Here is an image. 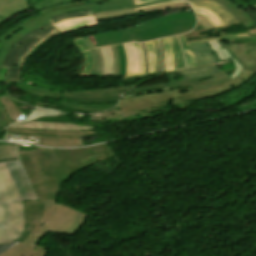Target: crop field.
<instances>
[{
    "label": "crop field",
    "mask_w": 256,
    "mask_h": 256,
    "mask_svg": "<svg viewBox=\"0 0 256 256\" xmlns=\"http://www.w3.org/2000/svg\"><path fill=\"white\" fill-rule=\"evenodd\" d=\"M254 73L242 72L240 76L222 85L198 92H190L188 87L169 91L144 94L120 99L119 108L111 112H101L90 115L93 121H122V119L150 116V112L176 105V109H188L191 101L207 98L236 88L247 81Z\"/></svg>",
    "instance_id": "1"
},
{
    "label": "crop field",
    "mask_w": 256,
    "mask_h": 256,
    "mask_svg": "<svg viewBox=\"0 0 256 256\" xmlns=\"http://www.w3.org/2000/svg\"><path fill=\"white\" fill-rule=\"evenodd\" d=\"M195 24L193 12H177L125 30L90 36V39L95 47L129 41L142 42L185 33L193 29Z\"/></svg>",
    "instance_id": "2"
},
{
    "label": "crop field",
    "mask_w": 256,
    "mask_h": 256,
    "mask_svg": "<svg viewBox=\"0 0 256 256\" xmlns=\"http://www.w3.org/2000/svg\"><path fill=\"white\" fill-rule=\"evenodd\" d=\"M23 200L5 166L0 164V244L15 241L23 232Z\"/></svg>",
    "instance_id": "3"
},
{
    "label": "crop field",
    "mask_w": 256,
    "mask_h": 256,
    "mask_svg": "<svg viewBox=\"0 0 256 256\" xmlns=\"http://www.w3.org/2000/svg\"><path fill=\"white\" fill-rule=\"evenodd\" d=\"M92 15L90 10L61 14L48 20L51 22L41 26L20 39L6 57L2 66L10 67L7 81H19L21 67L26 56L44 40L61 33L53 24L67 19Z\"/></svg>",
    "instance_id": "4"
},
{
    "label": "crop field",
    "mask_w": 256,
    "mask_h": 256,
    "mask_svg": "<svg viewBox=\"0 0 256 256\" xmlns=\"http://www.w3.org/2000/svg\"><path fill=\"white\" fill-rule=\"evenodd\" d=\"M55 150L68 176L99 160L105 161L115 157H113V153L111 154L106 144L86 148Z\"/></svg>",
    "instance_id": "5"
},
{
    "label": "crop field",
    "mask_w": 256,
    "mask_h": 256,
    "mask_svg": "<svg viewBox=\"0 0 256 256\" xmlns=\"http://www.w3.org/2000/svg\"><path fill=\"white\" fill-rule=\"evenodd\" d=\"M86 215V213L58 205L52 201L51 215L34 244L38 243L46 231L76 234L84 223Z\"/></svg>",
    "instance_id": "6"
},
{
    "label": "crop field",
    "mask_w": 256,
    "mask_h": 256,
    "mask_svg": "<svg viewBox=\"0 0 256 256\" xmlns=\"http://www.w3.org/2000/svg\"><path fill=\"white\" fill-rule=\"evenodd\" d=\"M9 133L41 136L40 146L77 147L81 146L79 137L92 135L93 131H47L23 128H6Z\"/></svg>",
    "instance_id": "7"
},
{
    "label": "crop field",
    "mask_w": 256,
    "mask_h": 256,
    "mask_svg": "<svg viewBox=\"0 0 256 256\" xmlns=\"http://www.w3.org/2000/svg\"><path fill=\"white\" fill-rule=\"evenodd\" d=\"M31 7L49 18L61 13L90 9L89 6L127 0H28Z\"/></svg>",
    "instance_id": "8"
},
{
    "label": "crop field",
    "mask_w": 256,
    "mask_h": 256,
    "mask_svg": "<svg viewBox=\"0 0 256 256\" xmlns=\"http://www.w3.org/2000/svg\"><path fill=\"white\" fill-rule=\"evenodd\" d=\"M34 151L45 174L52 194L54 198H56L63 181L68 177L54 149L37 148Z\"/></svg>",
    "instance_id": "9"
},
{
    "label": "crop field",
    "mask_w": 256,
    "mask_h": 256,
    "mask_svg": "<svg viewBox=\"0 0 256 256\" xmlns=\"http://www.w3.org/2000/svg\"><path fill=\"white\" fill-rule=\"evenodd\" d=\"M26 174L39 200H54L34 151L18 150Z\"/></svg>",
    "instance_id": "10"
},
{
    "label": "crop field",
    "mask_w": 256,
    "mask_h": 256,
    "mask_svg": "<svg viewBox=\"0 0 256 256\" xmlns=\"http://www.w3.org/2000/svg\"><path fill=\"white\" fill-rule=\"evenodd\" d=\"M217 42L228 49L243 66V70L256 72V36L217 40Z\"/></svg>",
    "instance_id": "11"
},
{
    "label": "crop field",
    "mask_w": 256,
    "mask_h": 256,
    "mask_svg": "<svg viewBox=\"0 0 256 256\" xmlns=\"http://www.w3.org/2000/svg\"><path fill=\"white\" fill-rule=\"evenodd\" d=\"M228 80L229 78H227L222 72H220L214 75L195 78V79H189L185 81L139 86L128 91L126 94H132L140 91H147V90L165 88V87H170L174 89V88L184 87V86H189L191 91H198V90H203V89H207V88L222 84Z\"/></svg>",
    "instance_id": "12"
},
{
    "label": "crop field",
    "mask_w": 256,
    "mask_h": 256,
    "mask_svg": "<svg viewBox=\"0 0 256 256\" xmlns=\"http://www.w3.org/2000/svg\"><path fill=\"white\" fill-rule=\"evenodd\" d=\"M49 23V21L41 15L30 17L17 25L12 30L0 36V69L1 64L12 49L13 44L22 38L25 34L34 28Z\"/></svg>",
    "instance_id": "13"
},
{
    "label": "crop field",
    "mask_w": 256,
    "mask_h": 256,
    "mask_svg": "<svg viewBox=\"0 0 256 256\" xmlns=\"http://www.w3.org/2000/svg\"><path fill=\"white\" fill-rule=\"evenodd\" d=\"M51 211V201H45V211L42 217L41 224H36L31 234L24 243H19L7 250L0 256H45L46 252L40 245H32L38 234L44 227ZM48 222V221H47Z\"/></svg>",
    "instance_id": "14"
},
{
    "label": "crop field",
    "mask_w": 256,
    "mask_h": 256,
    "mask_svg": "<svg viewBox=\"0 0 256 256\" xmlns=\"http://www.w3.org/2000/svg\"><path fill=\"white\" fill-rule=\"evenodd\" d=\"M23 200H38L20 161L5 163Z\"/></svg>",
    "instance_id": "15"
},
{
    "label": "crop field",
    "mask_w": 256,
    "mask_h": 256,
    "mask_svg": "<svg viewBox=\"0 0 256 256\" xmlns=\"http://www.w3.org/2000/svg\"><path fill=\"white\" fill-rule=\"evenodd\" d=\"M127 55V74L125 78L144 75V59L139 43L123 44Z\"/></svg>",
    "instance_id": "16"
},
{
    "label": "crop field",
    "mask_w": 256,
    "mask_h": 256,
    "mask_svg": "<svg viewBox=\"0 0 256 256\" xmlns=\"http://www.w3.org/2000/svg\"><path fill=\"white\" fill-rule=\"evenodd\" d=\"M43 210L44 201H24L25 228L23 234L16 241L24 242L35 223H40Z\"/></svg>",
    "instance_id": "17"
},
{
    "label": "crop field",
    "mask_w": 256,
    "mask_h": 256,
    "mask_svg": "<svg viewBox=\"0 0 256 256\" xmlns=\"http://www.w3.org/2000/svg\"><path fill=\"white\" fill-rule=\"evenodd\" d=\"M18 88L22 89L23 91L33 93L36 95L40 96H46L47 98L51 99H59L61 93L60 92H54V91H48V90H42L34 87H29L23 83L17 84ZM61 104L75 108V109H80V110H86V111H93V112H98V111H104L107 109H110L114 107L116 104H110V105H102V106H91V105H80V104H71L67 102L60 101Z\"/></svg>",
    "instance_id": "18"
},
{
    "label": "crop field",
    "mask_w": 256,
    "mask_h": 256,
    "mask_svg": "<svg viewBox=\"0 0 256 256\" xmlns=\"http://www.w3.org/2000/svg\"><path fill=\"white\" fill-rule=\"evenodd\" d=\"M192 4L193 7L203 8L214 13L224 25L235 24L238 21L235 19L233 14L229 12L221 4L212 0H185Z\"/></svg>",
    "instance_id": "19"
},
{
    "label": "crop field",
    "mask_w": 256,
    "mask_h": 256,
    "mask_svg": "<svg viewBox=\"0 0 256 256\" xmlns=\"http://www.w3.org/2000/svg\"><path fill=\"white\" fill-rule=\"evenodd\" d=\"M9 127H23V128H35V129H48V130H90L92 127L65 124V123H53V122H28L12 124Z\"/></svg>",
    "instance_id": "20"
},
{
    "label": "crop field",
    "mask_w": 256,
    "mask_h": 256,
    "mask_svg": "<svg viewBox=\"0 0 256 256\" xmlns=\"http://www.w3.org/2000/svg\"><path fill=\"white\" fill-rule=\"evenodd\" d=\"M27 8H30L27 0H0V23Z\"/></svg>",
    "instance_id": "21"
},
{
    "label": "crop field",
    "mask_w": 256,
    "mask_h": 256,
    "mask_svg": "<svg viewBox=\"0 0 256 256\" xmlns=\"http://www.w3.org/2000/svg\"><path fill=\"white\" fill-rule=\"evenodd\" d=\"M98 25L93 16L67 20L61 23L55 24L63 33L71 30L91 27Z\"/></svg>",
    "instance_id": "22"
},
{
    "label": "crop field",
    "mask_w": 256,
    "mask_h": 256,
    "mask_svg": "<svg viewBox=\"0 0 256 256\" xmlns=\"http://www.w3.org/2000/svg\"><path fill=\"white\" fill-rule=\"evenodd\" d=\"M239 25H244L243 24H235V25H228V26H223V27H218V28H212V29H207V30H202V31H197V32H191L184 34L187 41H196V40H202V39H208V38H214V37H220V36H227V33H221L220 30L228 27H233V26H239ZM231 35V34H229ZM191 43V42H190Z\"/></svg>",
    "instance_id": "23"
},
{
    "label": "crop field",
    "mask_w": 256,
    "mask_h": 256,
    "mask_svg": "<svg viewBox=\"0 0 256 256\" xmlns=\"http://www.w3.org/2000/svg\"><path fill=\"white\" fill-rule=\"evenodd\" d=\"M125 92V91H123ZM120 93H112V94H105V95H99V96H69V95H63L62 98L76 101V102H82V103H103V102H112V101H118Z\"/></svg>",
    "instance_id": "24"
},
{
    "label": "crop field",
    "mask_w": 256,
    "mask_h": 256,
    "mask_svg": "<svg viewBox=\"0 0 256 256\" xmlns=\"http://www.w3.org/2000/svg\"><path fill=\"white\" fill-rule=\"evenodd\" d=\"M190 49L198 66L217 63L215 58L211 55L206 43L191 45Z\"/></svg>",
    "instance_id": "25"
},
{
    "label": "crop field",
    "mask_w": 256,
    "mask_h": 256,
    "mask_svg": "<svg viewBox=\"0 0 256 256\" xmlns=\"http://www.w3.org/2000/svg\"><path fill=\"white\" fill-rule=\"evenodd\" d=\"M168 1H173V0H162V1H158V2L137 5V6H134L132 1H128V2L110 3V4H105V5H96V6H92L90 8L93 13H96V12L118 10V9L130 8V7L136 8V7H140V6L160 4V3H164V2H168Z\"/></svg>",
    "instance_id": "26"
},
{
    "label": "crop field",
    "mask_w": 256,
    "mask_h": 256,
    "mask_svg": "<svg viewBox=\"0 0 256 256\" xmlns=\"http://www.w3.org/2000/svg\"><path fill=\"white\" fill-rule=\"evenodd\" d=\"M178 72H180V74H183V80H185V79H189V78L214 74V73H217L220 71L217 68H215L214 66L208 65V66H202V67H196V68L175 71V72H172L171 74L178 73ZM175 75H179V74H175ZM171 76H174V75H171ZM168 77H170V76H168Z\"/></svg>",
    "instance_id": "27"
},
{
    "label": "crop field",
    "mask_w": 256,
    "mask_h": 256,
    "mask_svg": "<svg viewBox=\"0 0 256 256\" xmlns=\"http://www.w3.org/2000/svg\"><path fill=\"white\" fill-rule=\"evenodd\" d=\"M244 36H248V34L246 33V34H240V35H232V36H227V37H220V38H214V39L191 42V43H188V44H187L185 38L183 37V35H180L179 37H180V40H181V43H182V46H183V50L186 54L188 68H190V67H194V66H197V65L195 63L194 57H193L188 45L208 42V41L217 40V39H229V38L244 37Z\"/></svg>",
    "instance_id": "28"
},
{
    "label": "crop field",
    "mask_w": 256,
    "mask_h": 256,
    "mask_svg": "<svg viewBox=\"0 0 256 256\" xmlns=\"http://www.w3.org/2000/svg\"><path fill=\"white\" fill-rule=\"evenodd\" d=\"M222 5H224L228 10H230L234 16L237 18L239 23L246 22V28L250 27L253 25V22L251 20V16L247 15L244 13L239 7L236 5L232 4L231 2L227 0H215Z\"/></svg>",
    "instance_id": "29"
},
{
    "label": "crop field",
    "mask_w": 256,
    "mask_h": 256,
    "mask_svg": "<svg viewBox=\"0 0 256 256\" xmlns=\"http://www.w3.org/2000/svg\"><path fill=\"white\" fill-rule=\"evenodd\" d=\"M213 49L216 50V52L218 53L221 62L225 61L229 58L232 59V61L235 64V72L233 73V75L231 76L232 79H235L238 74L241 72L242 66L237 62V60L225 49L223 48L220 44H218L216 41L210 42Z\"/></svg>",
    "instance_id": "30"
},
{
    "label": "crop field",
    "mask_w": 256,
    "mask_h": 256,
    "mask_svg": "<svg viewBox=\"0 0 256 256\" xmlns=\"http://www.w3.org/2000/svg\"><path fill=\"white\" fill-rule=\"evenodd\" d=\"M140 84V83H138ZM138 84H131V85H125V86H119V87H113V88H107V89H98V90H88V91H77V92H68L64 91V94H70V95H98V94H105V93H111V92H120L123 90H128Z\"/></svg>",
    "instance_id": "31"
},
{
    "label": "crop field",
    "mask_w": 256,
    "mask_h": 256,
    "mask_svg": "<svg viewBox=\"0 0 256 256\" xmlns=\"http://www.w3.org/2000/svg\"><path fill=\"white\" fill-rule=\"evenodd\" d=\"M104 59V68L102 76L113 75L114 73V58L111 47L99 48Z\"/></svg>",
    "instance_id": "32"
},
{
    "label": "crop field",
    "mask_w": 256,
    "mask_h": 256,
    "mask_svg": "<svg viewBox=\"0 0 256 256\" xmlns=\"http://www.w3.org/2000/svg\"><path fill=\"white\" fill-rule=\"evenodd\" d=\"M0 102L6 111L14 118L16 121L22 120L25 116L18 110V108L11 102V100L7 97V95L0 96Z\"/></svg>",
    "instance_id": "33"
},
{
    "label": "crop field",
    "mask_w": 256,
    "mask_h": 256,
    "mask_svg": "<svg viewBox=\"0 0 256 256\" xmlns=\"http://www.w3.org/2000/svg\"><path fill=\"white\" fill-rule=\"evenodd\" d=\"M133 14H136V12L133 10V8H130V9H124V10H118V11L96 13L94 14V16L96 20H99V19H109V18L128 16Z\"/></svg>",
    "instance_id": "34"
},
{
    "label": "crop field",
    "mask_w": 256,
    "mask_h": 256,
    "mask_svg": "<svg viewBox=\"0 0 256 256\" xmlns=\"http://www.w3.org/2000/svg\"><path fill=\"white\" fill-rule=\"evenodd\" d=\"M170 39L173 47V70L182 69L184 68V66H183V61H182L177 37L176 36L171 37Z\"/></svg>",
    "instance_id": "35"
},
{
    "label": "crop field",
    "mask_w": 256,
    "mask_h": 256,
    "mask_svg": "<svg viewBox=\"0 0 256 256\" xmlns=\"http://www.w3.org/2000/svg\"><path fill=\"white\" fill-rule=\"evenodd\" d=\"M61 112L62 111H60L58 109L43 108V107L35 106V110L28 116L27 119H25L23 121H29V120L38 118L42 115H55V114H59Z\"/></svg>",
    "instance_id": "36"
},
{
    "label": "crop field",
    "mask_w": 256,
    "mask_h": 256,
    "mask_svg": "<svg viewBox=\"0 0 256 256\" xmlns=\"http://www.w3.org/2000/svg\"><path fill=\"white\" fill-rule=\"evenodd\" d=\"M16 155V145H2L0 146V160L14 159Z\"/></svg>",
    "instance_id": "37"
},
{
    "label": "crop field",
    "mask_w": 256,
    "mask_h": 256,
    "mask_svg": "<svg viewBox=\"0 0 256 256\" xmlns=\"http://www.w3.org/2000/svg\"><path fill=\"white\" fill-rule=\"evenodd\" d=\"M165 46V62H166V72L172 70V47L169 38L163 39Z\"/></svg>",
    "instance_id": "38"
},
{
    "label": "crop field",
    "mask_w": 256,
    "mask_h": 256,
    "mask_svg": "<svg viewBox=\"0 0 256 256\" xmlns=\"http://www.w3.org/2000/svg\"><path fill=\"white\" fill-rule=\"evenodd\" d=\"M117 53L119 56V76H125L126 73V56L124 52V48L121 45H117Z\"/></svg>",
    "instance_id": "39"
},
{
    "label": "crop field",
    "mask_w": 256,
    "mask_h": 256,
    "mask_svg": "<svg viewBox=\"0 0 256 256\" xmlns=\"http://www.w3.org/2000/svg\"><path fill=\"white\" fill-rule=\"evenodd\" d=\"M148 49L149 55V72L150 74L155 73V51L154 44L152 41L145 43Z\"/></svg>",
    "instance_id": "40"
},
{
    "label": "crop field",
    "mask_w": 256,
    "mask_h": 256,
    "mask_svg": "<svg viewBox=\"0 0 256 256\" xmlns=\"http://www.w3.org/2000/svg\"><path fill=\"white\" fill-rule=\"evenodd\" d=\"M193 9H194L195 13H199V14L203 15L204 17H206L214 25V27L222 26L221 21L215 15H213L211 12H208L203 9H198V8H193Z\"/></svg>",
    "instance_id": "41"
},
{
    "label": "crop field",
    "mask_w": 256,
    "mask_h": 256,
    "mask_svg": "<svg viewBox=\"0 0 256 256\" xmlns=\"http://www.w3.org/2000/svg\"><path fill=\"white\" fill-rule=\"evenodd\" d=\"M184 6H190V5L187 4V3L165 4V5H159V6H154V7H149V8L137 10L136 12H140V11L148 12V11H151V10H154V9L165 10V9H169V8L184 7Z\"/></svg>",
    "instance_id": "42"
},
{
    "label": "crop field",
    "mask_w": 256,
    "mask_h": 256,
    "mask_svg": "<svg viewBox=\"0 0 256 256\" xmlns=\"http://www.w3.org/2000/svg\"><path fill=\"white\" fill-rule=\"evenodd\" d=\"M83 54L85 57V67H84V70L79 75L88 76L92 68L93 60L89 51L84 52Z\"/></svg>",
    "instance_id": "43"
},
{
    "label": "crop field",
    "mask_w": 256,
    "mask_h": 256,
    "mask_svg": "<svg viewBox=\"0 0 256 256\" xmlns=\"http://www.w3.org/2000/svg\"><path fill=\"white\" fill-rule=\"evenodd\" d=\"M154 43L156 51V73H159L161 70L160 48L157 40H155Z\"/></svg>",
    "instance_id": "44"
},
{
    "label": "crop field",
    "mask_w": 256,
    "mask_h": 256,
    "mask_svg": "<svg viewBox=\"0 0 256 256\" xmlns=\"http://www.w3.org/2000/svg\"><path fill=\"white\" fill-rule=\"evenodd\" d=\"M90 51H91V53L93 55L94 63H93L92 71H91L89 76H93V75H95L99 64H98V57H97V53L95 52V49H92Z\"/></svg>",
    "instance_id": "45"
},
{
    "label": "crop field",
    "mask_w": 256,
    "mask_h": 256,
    "mask_svg": "<svg viewBox=\"0 0 256 256\" xmlns=\"http://www.w3.org/2000/svg\"><path fill=\"white\" fill-rule=\"evenodd\" d=\"M198 17V22L203 26L204 29L212 28L213 25L204 17L196 14Z\"/></svg>",
    "instance_id": "46"
},
{
    "label": "crop field",
    "mask_w": 256,
    "mask_h": 256,
    "mask_svg": "<svg viewBox=\"0 0 256 256\" xmlns=\"http://www.w3.org/2000/svg\"><path fill=\"white\" fill-rule=\"evenodd\" d=\"M72 41L74 42V44L77 46V48H78L80 51L87 50V47H86V45L84 44L82 38H76V39H73Z\"/></svg>",
    "instance_id": "47"
},
{
    "label": "crop field",
    "mask_w": 256,
    "mask_h": 256,
    "mask_svg": "<svg viewBox=\"0 0 256 256\" xmlns=\"http://www.w3.org/2000/svg\"><path fill=\"white\" fill-rule=\"evenodd\" d=\"M142 50H143V54H144V58H145V75L149 74L148 73V55H147V50H146V46L144 43H140Z\"/></svg>",
    "instance_id": "48"
},
{
    "label": "crop field",
    "mask_w": 256,
    "mask_h": 256,
    "mask_svg": "<svg viewBox=\"0 0 256 256\" xmlns=\"http://www.w3.org/2000/svg\"><path fill=\"white\" fill-rule=\"evenodd\" d=\"M96 51H97V53H98L99 63H100V66H99V68H98L96 77H100V76H101V72H102V67H103V60H102V56H101L100 51H99L98 48L96 49Z\"/></svg>",
    "instance_id": "49"
},
{
    "label": "crop field",
    "mask_w": 256,
    "mask_h": 256,
    "mask_svg": "<svg viewBox=\"0 0 256 256\" xmlns=\"http://www.w3.org/2000/svg\"><path fill=\"white\" fill-rule=\"evenodd\" d=\"M111 47H112V50H113V53H114V58H115V73H114V76H118V56H117V53H116L115 46H111Z\"/></svg>",
    "instance_id": "50"
},
{
    "label": "crop field",
    "mask_w": 256,
    "mask_h": 256,
    "mask_svg": "<svg viewBox=\"0 0 256 256\" xmlns=\"http://www.w3.org/2000/svg\"><path fill=\"white\" fill-rule=\"evenodd\" d=\"M17 243L18 242L0 245V254L3 253L4 251H6L7 249L11 248L12 246H14Z\"/></svg>",
    "instance_id": "51"
},
{
    "label": "crop field",
    "mask_w": 256,
    "mask_h": 256,
    "mask_svg": "<svg viewBox=\"0 0 256 256\" xmlns=\"http://www.w3.org/2000/svg\"><path fill=\"white\" fill-rule=\"evenodd\" d=\"M163 90H169V88L152 90V91H147V92H140V93H136V94H132V95H138V94H144V93H150V92H157V91H163ZM132 95H125V96H121L120 98L126 97V96H132Z\"/></svg>",
    "instance_id": "52"
},
{
    "label": "crop field",
    "mask_w": 256,
    "mask_h": 256,
    "mask_svg": "<svg viewBox=\"0 0 256 256\" xmlns=\"http://www.w3.org/2000/svg\"><path fill=\"white\" fill-rule=\"evenodd\" d=\"M83 40H84V42L86 43L88 49L94 48V46L92 45V43H91L89 37H83Z\"/></svg>",
    "instance_id": "53"
},
{
    "label": "crop field",
    "mask_w": 256,
    "mask_h": 256,
    "mask_svg": "<svg viewBox=\"0 0 256 256\" xmlns=\"http://www.w3.org/2000/svg\"><path fill=\"white\" fill-rule=\"evenodd\" d=\"M250 7L256 9V4L251 5ZM248 34H249L250 36H255V35H256V28H253V29L248 30Z\"/></svg>",
    "instance_id": "54"
},
{
    "label": "crop field",
    "mask_w": 256,
    "mask_h": 256,
    "mask_svg": "<svg viewBox=\"0 0 256 256\" xmlns=\"http://www.w3.org/2000/svg\"><path fill=\"white\" fill-rule=\"evenodd\" d=\"M153 1H157V0H133L134 4H143V3H148V2H153Z\"/></svg>",
    "instance_id": "55"
},
{
    "label": "crop field",
    "mask_w": 256,
    "mask_h": 256,
    "mask_svg": "<svg viewBox=\"0 0 256 256\" xmlns=\"http://www.w3.org/2000/svg\"><path fill=\"white\" fill-rule=\"evenodd\" d=\"M160 45H161V50H162V55H163V70L162 72H165V63H164V46H163V42L162 40L160 39Z\"/></svg>",
    "instance_id": "56"
},
{
    "label": "crop field",
    "mask_w": 256,
    "mask_h": 256,
    "mask_svg": "<svg viewBox=\"0 0 256 256\" xmlns=\"http://www.w3.org/2000/svg\"><path fill=\"white\" fill-rule=\"evenodd\" d=\"M35 105H39V106H43V107L58 108V107H55V106L50 105V104H44V103H38V102H36Z\"/></svg>",
    "instance_id": "57"
},
{
    "label": "crop field",
    "mask_w": 256,
    "mask_h": 256,
    "mask_svg": "<svg viewBox=\"0 0 256 256\" xmlns=\"http://www.w3.org/2000/svg\"><path fill=\"white\" fill-rule=\"evenodd\" d=\"M178 40H179V37H178ZM179 44H180V49H181L182 57H183V60H184V65H185V68H187V66H186V59H185V55H184L183 50H182V46H181L180 40H179Z\"/></svg>",
    "instance_id": "58"
},
{
    "label": "crop field",
    "mask_w": 256,
    "mask_h": 256,
    "mask_svg": "<svg viewBox=\"0 0 256 256\" xmlns=\"http://www.w3.org/2000/svg\"><path fill=\"white\" fill-rule=\"evenodd\" d=\"M6 125H8L7 123H6V121L2 118V116L0 115V127H4V126H6Z\"/></svg>",
    "instance_id": "59"
},
{
    "label": "crop field",
    "mask_w": 256,
    "mask_h": 256,
    "mask_svg": "<svg viewBox=\"0 0 256 256\" xmlns=\"http://www.w3.org/2000/svg\"><path fill=\"white\" fill-rule=\"evenodd\" d=\"M202 26L198 23V25L192 30V31H196V30H202Z\"/></svg>",
    "instance_id": "60"
},
{
    "label": "crop field",
    "mask_w": 256,
    "mask_h": 256,
    "mask_svg": "<svg viewBox=\"0 0 256 256\" xmlns=\"http://www.w3.org/2000/svg\"><path fill=\"white\" fill-rule=\"evenodd\" d=\"M227 62H232V61H231V59H229V60H227V61H225V62H223V63L214 64V65H221V64H224V63H227Z\"/></svg>",
    "instance_id": "61"
},
{
    "label": "crop field",
    "mask_w": 256,
    "mask_h": 256,
    "mask_svg": "<svg viewBox=\"0 0 256 256\" xmlns=\"http://www.w3.org/2000/svg\"><path fill=\"white\" fill-rule=\"evenodd\" d=\"M178 2V1H177ZM169 3H172V2H169ZM165 4V3H164ZM141 8H145V7H140V8H136L135 10H137V9H141Z\"/></svg>",
    "instance_id": "62"
}]
</instances>
